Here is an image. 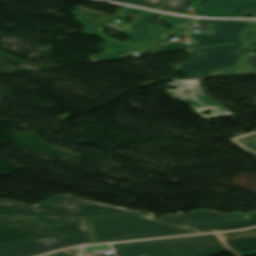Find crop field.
<instances>
[{"label":"crop field","instance_id":"crop-field-5","mask_svg":"<svg viewBox=\"0 0 256 256\" xmlns=\"http://www.w3.org/2000/svg\"><path fill=\"white\" fill-rule=\"evenodd\" d=\"M121 256H213L229 251L213 234L111 244Z\"/></svg>","mask_w":256,"mask_h":256},{"label":"crop field","instance_id":"crop-field-3","mask_svg":"<svg viewBox=\"0 0 256 256\" xmlns=\"http://www.w3.org/2000/svg\"><path fill=\"white\" fill-rule=\"evenodd\" d=\"M86 234H91L86 218L0 216V243Z\"/></svg>","mask_w":256,"mask_h":256},{"label":"crop field","instance_id":"crop-field-11","mask_svg":"<svg viewBox=\"0 0 256 256\" xmlns=\"http://www.w3.org/2000/svg\"><path fill=\"white\" fill-rule=\"evenodd\" d=\"M240 218H245V216L240 213L219 214L217 211L212 210H195L187 215L168 214L160 217L159 220L176 225H183Z\"/></svg>","mask_w":256,"mask_h":256},{"label":"crop field","instance_id":"crop-field-18","mask_svg":"<svg viewBox=\"0 0 256 256\" xmlns=\"http://www.w3.org/2000/svg\"><path fill=\"white\" fill-rule=\"evenodd\" d=\"M251 23L255 25V28L253 30H249L245 32L242 35L243 38L246 39L247 41L256 40V21H251Z\"/></svg>","mask_w":256,"mask_h":256},{"label":"crop field","instance_id":"crop-field-9","mask_svg":"<svg viewBox=\"0 0 256 256\" xmlns=\"http://www.w3.org/2000/svg\"><path fill=\"white\" fill-rule=\"evenodd\" d=\"M199 84L200 81H179L178 90L166 91L172 97L190 104L205 119L232 115L225 107L207 98ZM204 109H212L213 111L208 115H203L201 112Z\"/></svg>","mask_w":256,"mask_h":256},{"label":"crop field","instance_id":"crop-field-8","mask_svg":"<svg viewBox=\"0 0 256 256\" xmlns=\"http://www.w3.org/2000/svg\"><path fill=\"white\" fill-rule=\"evenodd\" d=\"M93 243L91 235L0 244V256H31L45 252Z\"/></svg>","mask_w":256,"mask_h":256},{"label":"crop field","instance_id":"crop-field-15","mask_svg":"<svg viewBox=\"0 0 256 256\" xmlns=\"http://www.w3.org/2000/svg\"><path fill=\"white\" fill-rule=\"evenodd\" d=\"M230 140L256 155V132H251Z\"/></svg>","mask_w":256,"mask_h":256},{"label":"crop field","instance_id":"crop-field-14","mask_svg":"<svg viewBox=\"0 0 256 256\" xmlns=\"http://www.w3.org/2000/svg\"><path fill=\"white\" fill-rule=\"evenodd\" d=\"M250 50H256V41L248 42ZM256 73V55L246 54L237 64L236 68L217 70L209 76L218 74H244Z\"/></svg>","mask_w":256,"mask_h":256},{"label":"crop field","instance_id":"crop-field-13","mask_svg":"<svg viewBox=\"0 0 256 256\" xmlns=\"http://www.w3.org/2000/svg\"><path fill=\"white\" fill-rule=\"evenodd\" d=\"M247 219L230 220L212 223H202L193 225H183L181 227L189 228L198 231L199 233L204 232H215V231H226L243 229L256 225V211L245 214Z\"/></svg>","mask_w":256,"mask_h":256},{"label":"crop field","instance_id":"crop-field-17","mask_svg":"<svg viewBox=\"0 0 256 256\" xmlns=\"http://www.w3.org/2000/svg\"><path fill=\"white\" fill-rule=\"evenodd\" d=\"M116 2L126 3V4H132V5H138V6H144L149 8H156L159 5H161L166 0H112Z\"/></svg>","mask_w":256,"mask_h":256},{"label":"crop field","instance_id":"crop-field-7","mask_svg":"<svg viewBox=\"0 0 256 256\" xmlns=\"http://www.w3.org/2000/svg\"><path fill=\"white\" fill-rule=\"evenodd\" d=\"M197 22L210 24L212 33L208 35L190 33L189 37L194 40V43L191 45H185L180 42L173 41L154 49L160 53H164L182 49L240 42L243 40L239 37V34L251 26V24L242 21H214L198 19Z\"/></svg>","mask_w":256,"mask_h":256},{"label":"crop field","instance_id":"crop-field-1","mask_svg":"<svg viewBox=\"0 0 256 256\" xmlns=\"http://www.w3.org/2000/svg\"><path fill=\"white\" fill-rule=\"evenodd\" d=\"M129 11L142 15L137 17L131 25L125 28H120L111 24L105 26L106 28L116 29L129 36L134 37L132 40L125 44L101 33L102 28L89 20L81 11H72V13L76 15L75 20L87 27L83 30L84 33L100 36L108 42V44H104L101 46L104 49L103 53L89 57L92 61L113 59L120 57L123 54L143 51L163 44L166 42V39L169 35L179 36L185 33L186 29L184 27L192 21V19L173 18L162 15L158 19L166 22L169 25H173L171 29L167 30L165 28L150 23L152 19L160 15L157 13L144 12L125 7L118 16L124 17L129 13Z\"/></svg>","mask_w":256,"mask_h":256},{"label":"crop field","instance_id":"crop-field-21","mask_svg":"<svg viewBox=\"0 0 256 256\" xmlns=\"http://www.w3.org/2000/svg\"><path fill=\"white\" fill-rule=\"evenodd\" d=\"M115 6H117V5H115ZM118 7H122V6H118Z\"/></svg>","mask_w":256,"mask_h":256},{"label":"crop field","instance_id":"crop-field-2","mask_svg":"<svg viewBox=\"0 0 256 256\" xmlns=\"http://www.w3.org/2000/svg\"><path fill=\"white\" fill-rule=\"evenodd\" d=\"M132 213L155 220V215L145 211L108 206L69 195L49 197L47 201L36 205L0 199L2 216L105 217Z\"/></svg>","mask_w":256,"mask_h":256},{"label":"crop field","instance_id":"crop-field-10","mask_svg":"<svg viewBox=\"0 0 256 256\" xmlns=\"http://www.w3.org/2000/svg\"><path fill=\"white\" fill-rule=\"evenodd\" d=\"M256 10V0H210L191 15L203 17H241Z\"/></svg>","mask_w":256,"mask_h":256},{"label":"crop field","instance_id":"crop-field-4","mask_svg":"<svg viewBox=\"0 0 256 256\" xmlns=\"http://www.w3.org/2000/svg\"><path fill=\"white\" fill-rule=\"evenodd\" d=\"M87 220L94 243L195 233L141 216L125 215Z\"/></svg>","mask_w":256,"mask_h":256},{"label":"crop field","instance_id":"crop-field-6","mask_svg":"<svg viewBox=\"0 0 256 256\" xmlns=\"http://www.w3.org/2000/svg\"><path fill=\"white\" fill-rule=\"evenodd\" d=\"M246 48L247 44L242 43L189 50L192 58L175 68L191 79L197 78L216 68L235 66Z\"/></svg>","mask_w":256,"mask_h":256},{"label":"crop field","instance_id":"crop-field-19","mask_svg":"<svg viewBox=\"0 0 256 256\" xmlns=\"http://www.w3.org/2000/svg\"><path fill=\"white\" fill-rule=\"evenodd\" d=\"M68 250L73 251L72 254H65V250H63V251L56 252V253L46 255V256H78L81 248L68 249Z\"/></svg>","mask_w":256,"mask_h":256},{"label":"crop field","instance_id":"crop-field-12","mask_svg":"<svg viewBox=\"0 0 256 256\" xmlns=\"http://www.w3.org/2000/svg\"><path fill=\"white\" fill-rule=\"evenodd\" d=\"M219 238L239 256L256 254V228L251 230L220 233Z\"/></svg>","mask_w":256,"mask_h":256},{"label":"crop field","instance_id":"crop-field-20","mask_svg":"<svg viewBox=\"0 0 256 256\" xmlns=\"http://www.w3.org/2000/svg\"><path fill=\"white\" fill-rule=\"evenodd\" d=\"M84 249H88V250H104V249H109V247H108V245H102V246L84 247Z\"/></svg>","mask_w":256,"mask_h":256},{"label":"crop field","instance_id":"crop-field-22","mask_svg":"<svg viewBox=\"0 0 256 256\" xmlns=\"http://www.w3.org/2000/svg\"><path fill=\"white\" fill-rule=\"evenodd\" d=\"M255 17H256V14H255Z\"/></svg>","mask_w":256,"mask_h":256},{"label":"crop field","instance_id":"crop-field-16","mask_svg":"<svg viewBox=\"0 0 256 256\" xmlns=\"http://www.w3.org/2000/svg\"><path fill=\"white\" fill-rule=\"evenodd\" d=\"M194 1L196 0H169L158 9L172 13H179Z\"/></svg>","mask_w":256,"mask_h":256}]
</instances>
